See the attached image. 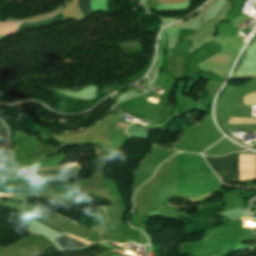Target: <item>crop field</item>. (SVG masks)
Returning a JSON list of instances; mask_svg holds the SVG:
<instances>
[{
    "label": "crop field",
    "mask_w": 256,
    "mask_h": 256,
    "mask_svg": "<svg viewBox=\"0 0 256 256\" xmlns=\"http://www.w3.org/2000/svg\"><path fill=\"white\" fill-rule=\"evenodd\" d=\"M239 154H255V153H237L230 154L225 157L213 158L205 157L206 161L219 175L222 182H247L252 180L238 181Z\"/></svg>",
    "instance_id": "8a807250"
},
{
    "label": "crop field",
    "mask_w": 256,
    "mask_h": 256,
    "mask_svg": "<svg viewBox=\"0 0 256 256\" xmlns=\"http://www.w3.org/2000/svg\"><path fill=\"white\" fill-rule=\"evenodd\" d=\"M90 1L91 0H78L77 2V8L78 11L85 16L86 18L91 16L93 13V10L90 6ZM64 16L59 13L56 16H53L47 20L41 21V22H34V23H28V24H20L18 30H23V29H29V28H35V27H41V26H46V25H52L56 24L62 20H64ZM17 30V31H18Z\"/></svg>",
    "instance_id": "ac0d7876"
},
{
    "label": "crop field",
    "mask_w": 256,
    "mask_h": 256,
    "mask_svg": "<svg viewBox=\"0 0 256 256\" xmlns=\"http://www.w3.org/2000/svg\"><path fill=\"white\" fill-rule=\"evenodd\" d=\"M80 167L57 169V171L45 172L46 178H58V181H65L64 177H76ZM50 171V170H41Z\"/></svg>",
    "instance_id": "34b2d1b8"
},
{
    "label": "crop field",
    "mask_w": 256,
    "mask_h": 256,
    "mask_svg": "<svg viewBox=\"0 0 256 256\" xmlns=\"http://www.w3.org/2000/svg\"><path fill=\"white\" fill-rule=\"evenodd\" d=\"M68 236L70 237H73V238H76L86 244H90L84 240H81L80 238L76 237V236H73L71 234H68ZM68 236H64L62 238H59V239H56L57 243L61 246L62 249H66V248H81L83 246H86L85 244H83L82 242L76 240V239H73V238H70Z\"/></svg>",
    "instance_id": "412701ff"
},
{
    "label": "crop field",
    "mask_w": 256,
    "mask_h": 256,
    "mask_svg": "<svg viewBox=\"0 0 256 256\" xmlns=\"http://www.w3.org/2000/svg\"><path fill=\"white\" fill-rule=\"evenodd\" d=\"M33 220L38 221V222H40V223H43V222H41V221H39V220H37V219H35V218H33ZM43 224H45V223H43ZM45 225H47V224H45ZM47 226H49V225H47ZM49 227H51V226H49ZM51 228H53V227H51ZM53 229H55V228H53ZM55 230H57V229H55ZM57 231H59V230H57ZM59 232H61V231H59Z\"/></svg>",
    "instance_id": "f4fd0767"
},
{
    "label": "crop field",
    "mask_w": 256,
    "mask_h": 256,
    "mask_svg": "<svg viewBox=\"0 0 256 256\" xmlns=\"http://www.w3.org/2000/svg\"><path fill=\"white\" fill-rule=\"evenodd\" d=\"M118 125L126 126L125 124H121V123H119Z\"/></svg>",
    "instance_id": "dd49c442"
}]
</instances>
